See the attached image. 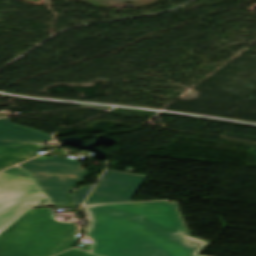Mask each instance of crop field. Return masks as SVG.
<instances>
[{"label":"crop field","mask_w":256,"mask_h":256,"mask_svg":"<svg viewBox=\"0 0 256 256\" xmlns=\"http://www.w3.org/2000/svg\"><path fill=\"white\" fill-rule=\"evenodd\" d=\"M91 187L80 189L76 195H70L71 203L72 204H81V202L84 200L88 192L90 191Z\"/></svg>","instance_id":"d8731c3e"},{"label":"crop field","mask_w":256,"mask_h":256,"mask_svg":"<svg viewBox=\"0 0 256 256\" xmlns=\"http://www.w3.org/2000/svg\"><path fill=\"white\" fill-rule=\"evenodd\" d=\"M57 256H93L89 253H86L80 249H72L68 252H65V253H62L60 255H57Z\"/></svg>","instance_id":"5a996713"},{"label":"crop field","mask_w":256,"mask_h":256,"mask_svg":"<svg viewBox=\"0 0 256 256\" xmlns=\"http://www.w3.org/2000/svg\"><path fill=\"white\" fill-rule=\"evenodd\" d=\"M91 253L98 256H197L209 243L188 237L168 201L86 206Z\"/></svg>","instance_id":"8a807250"},{"label":"crop field","mask_w":256,"mask_h":256,"mask_svg":"<svg viewBox=\"0 0 256 256\" xmlns=\"http://www.w3.org/2000/svg\"><path fill=\"white\" fill-rule=\"evenodd\" d=\"M145 178L106 170L85 204L130 201Z\"/></svg>","instance_id":"f4fd0767"},{"label":"crop field","mask_w":256,"mask_h":256,"mask_svg":"<svg viewBox=\"0 0 256 256\" xmlns=\"http://www.w3.org/2000/svg\"><path fill=\"white\" fill-rule=\"evenodd\" d=\"M28 169L56 205L69 204L66 190L86 175L77 160L39 156L20 165Z\"/></svg>","instance_id":"412701ff"},{"label":"crop field","mask_w":256,"mask_h":256,"mask_svg":"<svg viewBox=\"0 0 256 256\" xmlns=\"http://www.w3.org/2000/svg\"><path fill=\"white\" fill-rule=\"evenodd\" d=\"M37 151H39V148L36 144H27L16 150L8 146L0 148V170L37 155L34 154Z\"/></svg>","instance_id":"e52e79f7"},{"label":"crop field","mask_w":256,"mask_h":256,"mask_svg":"<svg viewBox=\"0 0 256 256\" xmlns=\"http://www.w3.org/2000/svg\"><path fill=\"white\" fill-rule=\"evenodd\" d=\"M52 218L51 208L27 212L0 233V256H49L72 246L75 224Z\"/></svg>","instance_id":"ac0d7876"},{"label":"crop field","mask_w":256,"mask_h":256,"mask_svg":"<svg viewBox=\"0 0 256 256\" xmlns=\"http://www.w3.org/2000/svg\"><path fill=\"white\" fill-rule=\"evenodd\" d=\"M55 205L32 174L18 166L0 173V232L32 207Z\"/></svg>","instance_id":"34b2d1b8"},{"label":"crop field","mask_w":256,"mask_h":256,"mask_svg":"<svg viewBox=\"0 0 256 256\" xmlns=\"http://www.w3.org/2000/svg\"><path fill=\"white\" fill-rule=\"evenodd\" d=\"M198 256H202V255H198Z\"/></svg>","instance_id":"d1516ede"},{"label":"crop field","mask_w":256,"mask_h":256,"mask_svg":"<svg viewBox=\"0 0 256 256\" xmlns=\"http://www.w3.org/2000/svg\"><path fill=\"white\" fill-rule=\"evenodd\" d=\"M9 116L8 113H0V117Z\"/></svg>","instance_id":"3316defc"},{"label":"crop field","mask_w":256,"mask_h":256,"mask_svg":"<svg viewBox=\"0 0 256 256\" xmlns=\"http://www.w3.org/2000/svg\"><path fill=\"white\" fill-rule=\"evenodd\" d=\"M24 145H25V144H24ZM20 146H23V145H14V146H10V147L16 149V148H18V147H20Z\"/></svg>","instance_id":"28ad6ade"},{"label":"crop field","mask_w":256,"mask_h":256,"mask_svg":"<svg viewBox=\"0 0 256 256\" xmlns=\"http://www.w3.org/2000/svg\"><path fill=\"white\" fill-rule=\"evenodd\" d=\"M46 140H51L50 135L12 124L7 118L0 119V147Z\"/></svg>","instance_id":"dd49c442"}]
</instances>
